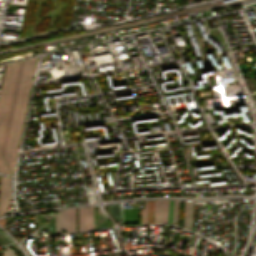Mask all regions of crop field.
<instances>
[{
    "mask_svg": "<svg viewBox=\"0 0 256 256\" xmlns=\"http://www.w3.org/2000/svg\"><path fill=\"white\" fill-rule=\"evenodd\" d=\"M185 216H186V202L184 207V219H183V227L185 228Z\"/></svg>",
    "mask_w": 256,
    "mask_h": 256,
    "instance_id": "crop-field-15",
    "label": "crop field"
},
{
    "mask_svg": "<svg viewBox=\"0 0 256 256\" xmlns=\"http://www.w3.org/2000/svg\"><path fill=\"white\" fill-rule=\"evenodd\" d=\"M18 63L7 65L3 77L2 87L0 91V149L3 140L4 130L6 126L9 106L12 98L14 83L16 79ZM0 172L9 173V170L0 155Z\"/></svg>",
    "mask_w": 256,
    "mask_h": 256,
    "instance_id": "crop-field-2",
    "label": "crop field"
},
{
    "mask_svg": "<svg viewBox=\"0 0 256 256\" xmlns=\"http://www.w3.org/2000/svg\"><path fill=\"white\" fill-rule=\"evenodd\" d=\"M141 223H146V201L144 204V209H141Z\"/></svg>",
    "mask_w": 256,
    "mask_h": 256,
    "instance_id": "crop-field-10",
    "label": "crop field"
},
{
    "mask_svg": "<svg viewBox=\"0 0 256 256\" xmlns=\"http://www.w3.org/2000/svg\"><path fill=\"white\" fill-rule=\"evenodd\" d=\"M52 215H53V214H49V215H45V216H47L48 218H50ZM47 217H46V218H47Z\"/></svg>",
    "mask_w": 256,
    "mask_h": 256,
    "instance_id": "crop-field-18",
    "label": "crop field"
},
{
    "mask_svg": "<svg viewBox=\"0 0 256 256\" xmlns=\"http://www.w3.org/2000/svg\"><path fill=\"white\" fill-rule=\"evenodd\" d=\"M178 204H179V201H176V225H177V216H178Z\"/></svg>",
    "mask_w": 256,
    "mask_h": 256,
    "instance_id": "crop-field-16",
    "label": "crop field"
},
{
    "mask_svg": "<svg viewBox=\"0 0 256 256\" xmlns=\"http://www.w3.org/2000/svg\"><path fill=\"white\" fill-rule=\"evenodd\" d=\"M22 63H23V61L20 62V67H19V71H18L16 83H15V89H14V94H13V98H12V102H11L9 118H8V122H7V126H6L5 136H4L3 145H2V150H1L2 154H4V149H5L6 139H7V135H8V130H9V125H10L13 105H14V101H15V96H16L17 86H18V82H19L20 72H21V68H22Z\"/></svg>",
    "mask_w": 256,
    "mask_h": 256,
    "instance_id": "crop-field-6",
    "label": "crop field"
},
{
    "mask_svg": "<svg viewBox=\"0 0 256 256\" xmlns=\"http://www.w3.org/2000/svg\"><path fill=\"white\" fill-rule=\"evenodd\" d=\"M193 202L187 203L186 228L192 230Z\"/></svg>",
    "mask_w": 256,
    "mask_h": 256,
    "instance_id": "crop-field-7",
    "label": "crop field"
},
{
    "mask_svg": "<svg viewBox=\"0 0 256 256\" xmlns=\"http://www.w3.org/2000/svg\"><path fill=\"white\" fill-rule=\"evenodd\" d=\"M172 200H169L168 223L171 224Z\"/></svg>",
    "mask_w": 256,
    "mask_h": 256,
    "instance_id": "crop-field-12",
    "label": "crop field"
},
{
    "mask_svg": "<svg viewBox=\"0 0 256 256\" xmlns=\"http://www.w3.org/2000/svg\"><path fill=\"white\" fill-rule=\"evenodd\" d=\"M70 232L76 231L75 208L69 209ZM79 231L93 229V207L78 208Z\"/></svg>",
    "mask_w": 256,
    "mask_h": 256,
    "instance_id": "crop-field-3",
    "label": "crop field"
},
{
    "mask_svg": "<svg viewBox=\"0 0 256 256\" xmlns=\"http://www.w3.org/2000/svg\"><path fill=\"white\" fill-rule=\"evenodd\" d=\"M154 223H157V200H155Z\"/></svg>",
    "mask_w": 256,
    "mask_h": 256,
    "instance_id": "crop-field-13",
    "label": "crop field"
},
{
    "mask_svg": "<svg viewBox=\"0 0 256 256\" xmlns=\"http://www.w3.org/2000/svg\"><path fill=\"white\" fill-rule=\"evenodd\" d=\"M154 201H147V223H153Z\"/></svg>",
    "mask_w": 256,
    "mask_h": 256,
    "instance_id": "crop-field-8",
    "label": "crop field"
},
{
    "mask_svg": "<svg viewBox=\"0 0 256 256\" xmlns=\"http://www.w3.org/2000/svg\"><path fill=\"white\" fill-rule=\"evenodd\" d=\"M9 180V181H7ZM11 178L3 177L0 185V215L7 212L8 199H12L11 196ZM7 196V197H5Z\"/></svg>",
    "mask_w": 256,
    "mask_h": 256,
    "instance_id": "crop-field-5",
    "label": "crop field"
},
{
    "mask_svg": "<svg viewBox=\"0 0 256 256\" xmlns=\"http://www.w3.org/2000/svg\"><path fill=\"white\" fill-rule=\"evenodd\" d=\"M35 61L27 60L23 63V68L21 72L20 82L18 86L15 106L13 110L9 135L7 139L6 149L4 158L7 162V165L12 173L15 155L18 147V141L22 129V123L24 118V112L26 108V104L28 101V96L31 87L32 76L35 67Z\"/></svg>",
    "mask_w": 256,
    "mask_h": 256,
    "instance_id": "crop-field-1",
    "label": "crop field"
},
{
    "mask_svg": "<svg viewBox=\"0 0 256 256\" xmlns=\"http://www.w3.org/2000/svg\"><path fill=\"white\" fill-rule=\"evenodd\" d=\"M161 201H158V223H160Z\"/></svg>",
    "mask_w": 256,
    "mask_h": 256,
    "instance_id": "crop-field-14",
    "label": "crop field"
},
{
    "mask_svg": "<svg viewBox=\"0 0 256 256\" xmlns=\"http://www.w3.org/2000/svg\"><path fill=\"white\" fill-rule=\"evenodd\" d=\"M6 248H7V250L3 251L4 256H14V251L7 246H6Z\"/></svg>",
    "mask_w": 256,
    "mask_h": 256,
    "instance_id": "crop-field-11",
    "label": "crop field"
},
{
    "mask_svg": "<svg viewBox=\"0 0 256 256\" xmlns=\"http://www.w3.org/2000/svg\"><path fill=\"white\" fill-rule=\"evenodd\" d=\"M168 200H162L161 223L167 224Z\"/></svg>",
    "mask_w": 256,
    "mask_h": 256,
    "instance_id": "crop-field-9",
    "label": "crop field"
},
{
    "mask_svg": "<svg viewBox=\"0 0 256 256\" xmlns=\"http://www.w3.org/2000/svg\"><path fill=\"white\" fill-rule=\"evenodd\" d=\"M61 220H62V229H66V232H69V223H68V209L61 211ZM61 220L60 212L55 215V224H56V234L61 233ZM49 234H55V225L54 217L48 222Z\"/></svg>",
    "mask_w": 256,
    "mask_h": 256,
    "instance_id": "crop-field-4",
    "label": "crop field"
},
{
    "mask_svg": "<svg viewBox=\"0 0 256 256\" xmlns=\"http://www.w3.org/2000/svg\"><path fill=\"white\" fill-rule=\"evenodd\" d=\"M34 230H37V226H36V215L34 216Z\"/></svg>",
    "mask_w": 256,
    "mask_h": 256,
    "instance_id": "crop-field-17",
    "label": "crop field"
}]
</instances>
